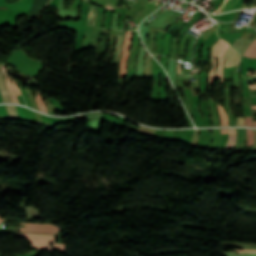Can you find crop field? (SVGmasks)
<instances>
[{
  "instance_id": "22",
  "label": "crop field",
  "mask_w": 256,
  "mask_h": 256,
  "mask_svg": "<svg viewBox=\"0 0 256 256\" xmlns=\"http://www.w3.org/2000/svg\"><path fill=\"white\" fill-rule=\"evenodd\" d=\"M252 109H256V106H252Z\"/></svg>"
},
{
  "instance_id": "18",
  "label": "crop field",
  "mask_w": 256,
  "mask_h": 256,
  "mask_svg": "<svg viewBox=\"0 0 256 256\" xmlns=\"http://www.w3.org/2000/svg\"><path fill=\"white\" fill-rule=\"evenodd\" d=\"M119 37H120V35H118V37H117V41H116V50H117V47H118V44H119Z\"/></svg>"
},
{
  "instance_id": "24",
  "label": "crop field",
  "mask_w": 256,
  "mask_h": 256,
  "mask_svg": "<svg viewBox=\"0 0 256 256\" xmlns=\"http://www.w3.org/2000/svg\"><path fill=\"white\" fill-rule=\"evenodd\" d=\"M254 126H256V121H254Z\"/></svg>"
},
{
  "instance_id": "9",
  "label": "crop field",
  "mask_w": 256,
  "mask_h": 256,
  "mask_svg": "<svg viewBox=\"0 0 256 256\" xmlns=\"http://www.w3.org/2000/svg\"><path fill=\"white\" fill-rule=\"evenodd\" d=\"M36 92H37L38 96H36L35 98H36V100H37L38 107H39L40 111L46 112L45 104H44V102H43V100H42V98H41L39 92H38L37 90H36ZM46 113H47V112H46Z\"/></svg>"
},
{
  "instance_id": "20",
  "label": "crop field",
  "mask_w": 256,
  "mask_h": 256,
  "mask_svg": "<svg viewBox=\"0 0 256 256\" xmlns=\"http://www.w3.org/2000/svg\"><path fill=\"white\" fill-rule=\"evenodd\" d=\"M193 73H198V69L197 68H193Z\"/></svg>"
},
{
  "instance_id": "25",
  "label": "crop field",
  "mask_w": 256,
  "mask_h": 256,
  "mask_svg": "<svg viewBox=\"0 0 256 256\" xmlns=\"http://www.w3.org/2000/svg\"><path fill=\"white\" fill-rule=\"evenodd\" d=\"M85 1H88V2H89L90 0H85Z\"/></svg>"
},
{
  "instance_id": "23",
  "label": "crop field",
  "mask_w": 256,
  "mask_h": 256,
  "mask_svg": "<svg viewBox=\"0 0 256 256\" xmlns=\"http://www.w3.org/2000/svg\"><path fill=\"white\" fill-rule=\"evenodd\" d=\"M3 100H2V98H1V96H0V102H2Z\"/></svg>"
},
{
  "instance_id": "3",
  "label": "crop field",
  "mask_w": 256,
  "mask_h": 256,
  "mask_svg": "<svg viewBox=\"0 0 256 256\" xmlns=\"http://www.w3.org/2000/svg\"><path fill=\"white\" fill-rule=\"evenodd\" d=\"M22 224L26 225V228H21L20 231L58 234V232L61 230L60 228L55 227L51 224H31V223H22Z\"/></svg>"
},
{
  "instance_id": "14",
  "label": "crop field",
  "mask_w": 256,
  "mask_h": 256,
  "mask_svg": "<svg viewBox=\"0 0 256 256\" xmlns=\"http://www.w3.org/2000/svg\"><path fill=\"white\" fill-rule=\"evenodd\" d=\"M11 78V77H10ZM12 82H13V85H14V88H15V91H16V94L19 95L21 94L16 82L13 80V78H11Z\"/></svg>"
},
{
  "instance_id": "2",
  "label": "crop field",
  "mask_w": 256,
  "mask_h": 256,
  "mask_svg": "<svg viewBox=\"0 0 256 256\" xmlns=\"http://www.w3.org/2000/svg\"><path fill=\"white\" fill-rule=\"evenodd\" d=\"M18 236H26L32 242L34 249H48L67 253L65 245L54 244L53 236L28 233H18ZM49 243H53V247H49Z\"/></svg>"
},
{
  "instance_id": "19",
  "label": "crop field",
  "mask_w": 256,
  "mask_h": 256,
  "mask_svg": "<svg viewBox=\"0 0 256 256\" xmlns=\"http://www.w3.org/2000/svg\"><path fill=\"white\" fill-rule=\"evenodd\" d=\"M250 89H256V85H249Z\"/></svg>"
},
{
  "instance_id": "1",
  "label": "crop field",
  "mask_w": 256,
  "mask_h": 256,
  "mask_svg": "<svg viewBox=\"0 0 256 256\" xmlns=\"http://www.w3.org/2000/svg\"><path fill=\"white\" fill-rule=\"evenodd\" d=\"M229 44L226 43L225 41L219 39L217 41V43L213 46V50H212V63H213V68L211 70V72L209 73V82L211 84V82L213 80H215V78H221V82L222 84H224V80H223V59L225 56V53L227 51V49L229 48ZM218 54V61H219V65H218V69L217 72L215 74V60H216V56Z\"/></svg>"
},
{
  "instance_id": "5",
  "label": "crop field",
  "mask_w": 256,
  "mask_h": 256,
  "mask_svg": "<svg viewBox=\"0 0 256 256\" xmlns=\"http://www.w3.org/2000/svg\"><path fill=\"white\" fill-rule=\"evenodd\" d=\"M217 110L219 112L221 126H228V118H227V114H226L224 107L221 106L220 104H218Z\"/></svg>"
},
{
  "instance_id": "12",
  "label": "crop field",
  "mask_w": 256,
  "mask_h": 256,
  "mask_svg": "<svg viewBox=\"0 0 256 256\" xmlns=\"http://www.w3.org/2000/svg\"><path fill=\"white\" fill-rule=\"evenodd\" d=\"M16 108H17V111H18V114H19L20 118L25 120V116H24V114H23V109H22V107L16 106Z\"/></svg>"
},
{
  "instance_id": "4",
  "label": "crop field",
  "mask_w": 256,
  "mask_h": 256,
  "mask_svg": "<svg viewBox=\"0 0 256 256\" xmlns=\"http://www.w3.org/2000/svg\"><path fill=\"white\" fill-rule=\"evenodd\" d=\"M239 57L240 55L232 47H230L226 54L224 67L237 66L239 63Z\"/></svg>"
},
{
  "instance_id": "26",
  "label": "crop field",
  "mask_w": 256,
  "mask_h": 256,
  "mask_svg": "<svg viewBox=\"0 0 256 256\" xmlns=\"http://www.w3.org/2000/svg\"><path fill=\"white\" fill-rule=\"evenodd\" d=\"M185 68V67H184ZM185 69H188V68H185ZM190 70V69H189Z\"/></svg>"
},
{
  "instance_id": "27",
  "label": "crop field",
  "mask_w": 256,
  "mask_h": 256,
  "mask_svg": "<svg viewBox=\"0 0 256 256\" xmlns=\"http://www.w3.org/2000/svg\"><path fill=\"white\" fill-rule=\"evenodd\" d=\"M0 221H3V220H0Z\"/></svg>"
},
{
  "instance_id": "10",
  "label": "crop field",
  "mask_w": 256,
  "mask_h": 256,
  "mask_svg": "<svg viewBox=\"0 0 256 256\" xmlns=\"http://www.w3.org/2000/svg\"><path fill=\"white\" fill-rule=\"evenodd\" d=\"M185 74V73H184ZM179 69V64L176 63V78L190 79V75H184Z\"/></svg>"
},
{
  "instance_id": "6",
  "label": "crop field",
  "mask_w": 256,
  "mask_h": 256,
  "mask_svg": "<svg viewBox=\"0 0 256 256\" xmlns=\"http://www.w3.org/2000/svg\"><path fill=\"white\" fill-rule=\"evenodd\" d=\"M236 142V129H229V139L225 149H232Z\"/></svg>"
},
{
  "instance_id": "15",
  "label": "crop field",
  "mask_w": 256,
  "mask_h": 256,
  "mask_svg": "<svg viewBox=\"0 0 256 256\" xmlns=\"http://www.w3.org/2000/svg\"><path fill=\"white\" fill-rule=\"evenodd\" d=\"M237 125L245 126L243 118H237Z\"/></svg>"
},
{
  "instance_id": "16",
  "label": "crop field",
  "mask_w": 256,
  "mask_h": 256,
  "mask_svg": "<svg viewBox=\"0 0 256 256\" xmlns=\"http://www.w3.org/2000/svg\"><path fill=\"white\" fill-rule=\"evenodd\" d=\"M234 251H240V252H256V250H241V249H235Z\"/></svg>"
},
{
  "instance_id": "8",
  "label": "crop field",
  "mask_w": 256,
  "mask_h": 256,
  "mask_svg": "<svg viewBox=\"0 0 256 256\" xmlns=\"http://www.w3.org/2000/svg\"><path fill=\"white\" fill-rule=\"evenodd\" d=\"M97 8H98L97 6L92 5L87 25H93L94 26V18H95V15H96Z\"/></svg>"
},
{
  "instance_id": "11",
  "label": "crop field",
  "mask_w": 256,
  "mask_h": 256,
  "mask_svg": "<svg viewBox=\"0 0 256 256\" xmlns=\"http://www.w3.org/2000/svg\"><path fill=\"white\" fill-rule=\"evenodd\" d=\"M124 34H125V33H124ZM124 34L122 35V38H121V42H120V46H119V52H118V57H117V60H116V61H119V59H120L122 44H123V40H124Z\"/></svg>"
},
{
  "instance_id": "7",
  "label": "crop field",
  "mask_w": 256,
  "mask_h": 256,
  "mask_svg": "<svg viewBox=\"0 0 256 256\" xmlns=\"http://www.w3.org/2000/svg\"><path fill=\"white\" fill-rule=\"evenodd\" d=\"M1 67H2V70H3L4 74H5V76H6V82H7V85H8V87H9V89H10V93H11V96H12V100H13V102L18 103V100H17L16 94H15V91H14V89H13V87H12V83H11L10 79L8 78V76H7V74H6L4 64L1 65ZM18 104H19V103H18Z\"/></svg>"
},
{
  "instance_id": "17",
  "label": "crop field",
  "mask_w": 256,
  "mask_h": 256,
  "mask_svg": "<svg viewBox=\"0 0 256 256\" xmlns=\"http://www.w3.org/2000/svg\"><path fill=\"white\" fill-rule=\"evenodd\" d=\"M249 73H256V71H250V72H248V76H256V74H249Z\"/></svg>"
},
{
  "instance_id": "21",
  "label": "crop field",
  "mask_w": 256,
  "mask_h": 256,
  "mask_svg": "<svg viewBox=\"0 0 256 256\" xmlns=\"http://www.w3.org/2000/svg\"><path fill=\"white\" fill-rule=\"evenodd\" d=\"M193 78H198V75H193Z\"/></svg>"
},
{
  "instance_id": "13",
  "label": "crop field",
  "mask_w": 256,
  "mask_h": 256,
  "mask_svg": "<svg viewBox=\"0 0 256 256\" xmlns=\"http://www.w3.org/2000/svg\"><path fill=\"white\" fill-rule=\"evenodd\" d=\"M0 115L9 116L4 106H0Z\"/></svg>"
}]
</instances>
